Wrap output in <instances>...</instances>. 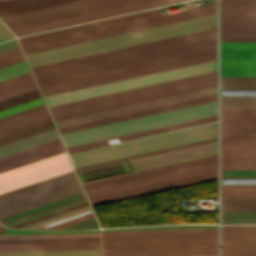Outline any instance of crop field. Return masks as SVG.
<instances>
[{"mask_svg":"<svg viewBox=\"0 0 256 256\" xmlns=\"http://www.w3.org/2000/svg\"><path fill=\"white\" fill-rule=\"evenodd\" d=\"M216 27V14L25 55L37 66ZM216 43V28L31 68L37 82Z\"/></svg>","mask_w":256,"mask_h":256,"instance_id":"1","label":"crop field"},{"mask_svg":"<svg viewBox=\"0 0 256 256\" xmlns=\"http://www.w3.org/2000/svg\"><path fill=\"white\" fill-rule=\"evenodd\" d=\"M216 13V4L163 15L159 8L18 39L25 54Z\"/></svg>","mask_w":256,"mask_h":256,"instance_id":"2","label":"crop field"},{"mask_svg":"<svg viewBox=\"0 0 256 256\" xmlns=\"http://www.w3.org/2000/svg\"><path fill=\"white\" fill-rule=\"evenodd\" d=\"M217 86V71L48 108L54 121Z\"/></svg>","mask_w":256,"mask_h":256,"instance_id":"3","label":"crop field"},{"mask_svg":"<svg viewBox=\"0 0 256 256\" xmlns=\"http://www.w3.org/2000/svg\"><path fill=\"white\" fill-rule=\"evenodd\" d=\"M217 136V122L69 154L75 167Z\"/></svg>","mask_w":256,"mask_h":256,"instance_id":"4","label":"crop field"},{"mask_svg":"<svg viewBox=\"0 0 256 256\" xmlns=\"http://www.w3.org/2000/svg\"><path fill=\"white\" fill-rule=\"evenodd\" d=\"M217 114V101L60 135L72 146Z\"/></svg>","mask_w":256,"mask_h":256,"instance_id":"5","label":"crop field"},{"mask_svg":"<svg viewBox=\"0 0 256 256\" xmlns=\"http://www.w3.org/2000/svg\"><path fill=\"white\" fill-rule=\"evenodd\" d=\"M74 171L0 194V219L82 193Z\"/></svg>","mask_w":256,"mask_h":256,"instance_id":"6","label":"crop field"},{"mask_svg":"<svg viewBox=\"0 0 256 256\" xmlns=\"http://www.w3.org/2000/svg\"><path fill=\"white\" fill-rule=\"evenodd\" d=\"M217 70L216 60L44 97L54 106Z\"/></svg>","mask_w":256,"mask_h":256,"instance_id":"7","label":"crop field"},{"mask_svg":"<svg viewBox=\"0 0 256 256\" xmlns=\"http://www.w3.org/2000/svg\"><path fill=\"white\" fill-rule=\"evenodd\" d=\"M216 59V51L40 89L43 96Z\"/></svg>","mask_w":256,"mask_h":256,"instance_id":"8","label":"crop field"},{"mask_svg":"<svg viewBox=\"0 0 256 256\" xmlns=\"http://www.w3.org/2000/svg\"><path fill=\"white\" fill-rule=\"evenodd\" d=\"M66 153H61L0 174V193L72 170Z\"/></svg>","mask_w":256,"mask_h":256,"instance_id":"9","label":"crop field"},{"mask_svg":"<svg viewBox=\"0 0 256 256\" xmlns=\"http://www.w3.org/2000/svg\"><path fill=\"white\" fill-rule=\"evenodd\" d=\"M220 37H256V1H220Z\"/></svg>","mask_w":256,"mask_h":256,"instance_id":"10","label":"crop field"},{"mask_svg":"<svg viewBox=\"0 0 256 256\" xmlns=\"http://www.w3.org/2000/svg\"><path fill=\"white\" fill-rule=\"evenodd\" d=\"M218 253V242L102 246V256Z\"/></svg>","mask_w":256,"mask_h":256,"instance_id":"11","label":"crop field"},{"mask_svg":"<svg viewBox=\"0 0 256 256\" xmlns=\"http://www.w3.org/2000/svg\"><path fill=\"white\" fill-rule=\"evenodd\" d=\"M220 76H256V43H220Z\"/></svg>","mask_w":256,"mask_h":256,"instance_id":"12","label":"crop field"},{"mask_svg":"<svg viewBox=\"0 0 256 256\" xmlns=\"http://www.w3.org/2000/svg\"><path fill=\"white\" fill-rule=\"evenodd\" d=\"M215 172H217V163L201 166L197 168H192L188 170L178 171L174 173L164 174L160 176H155L151 178L141 179L137 181H132L128 183H123L119 185H114L110 187L91 190L85 193L88 199L91 200V199L109 196L113 194L141 189L145 187H150V186L169 183L173 181L183 180L187 178L197 177L201 175L211 174Z\"/></svg>","mask_w":256,"mask_h":256,"instance_id":"13","label":"crop field"},{"mask_svg":"<svg viewBox=\"0 0 256 256\" xmlns=\"http://www.w3.org/2000/svg\"><path fill=\"white\" fill-rule=\"evenodd\" d=\"M178 1H183V0H150V1H145V2H141V3L123 6V7H118V8H113V9L104 10V11H100V12L81 15V16H77V17L67 18V19H63V20H58V21H53V22L13 29L12 31L14 32V34L16 36H19V35H24V34H28V33L43 31V30H47V29L62 27V26H66V25L96 20V19H100V18L118 15V14L128 13V12L137 11V10H141V9L151 8V7L160 6V5H164V4L174 3V2H178Z\"/></svg>","mask_w":256,"mask_h":256,"instance_id":"14","label":"crop field"},{"mask_svg":"<svg viewBox=\"0 0 256 256\" xmlns=\"http://www.w3.org/2000/svg\"><path fill=\"white\" fill-rule=\"evenodd\" d=\"M217 154V141L128 161L133 172Z\"/></svg>","mask_w":256,"mask_h":256,"instance_id":"15","label":"crop field"},{"mask_svg":"<svg viewBox=\"0 0 256 256\" xmlns=\"http://www.w3.org/2000/svg\"><path fill=\"white\" fill-rule=\"evenodd\" d=\"M214 50H216V44L205 46V47H200V48H195V49H190V50H186V51H181V52H177V53H169V54H165V55L155 56V57H151V58H147V59L133 61V62L125 63V64H120V65H116V66H111V67H107V68H103V69H98V70L89 71V72H85V73L75 74V75L57 78V79H53V80L43 81V82H39L38 85L40 88H42V87H46V86L56 85V84H60V83L70 82V81H74V80L84 79V78H88V77H93V76H97V75L107 74V73H111V72L121 71V70H125V69L135 68V67H139V66L149 65V64H153V63L163 62V61H167V60H172V59H176V58L186 57V56L200 54V53L214 51Z\"/></svg>","mask_w":256,"mask_h":256,"instance_id":"16","label":"crop field"},{"mask_svg":"<svg viewBox=\"0 0 256 256\" xmlns=\"http://www.w3.org/2000/svg\"><path fill=\"white\" fill-rule=\"evenodd\" d=\"M222 256H256V226H223Z\"/></svg>","mask_w":256,"mask_h":256,"instance_id":"17","label":"crop field"},{"mask_svg":"<svg viewBox=\"0 0 256 256\" xmlns=\"http://www.w3.org/2000/svg\"><path fill=\"white\" fill-rule=\"evenodd\" d=\"M215 93H217V87L211 88V89H206V90H201V91H197V92L187 93V94H183V95L173 96V97H169V98L159 99V100H155V101L145 102V103H141V104L131 105V106H127V107L117 108V109H113V110L103 111V112H99V113L89 114V115H85V116L75 117V118H71V119L61 120V121H57L55 123H56V127L59 128V127H63V126L73 125V124H77V123L96 120V119H100V118H105V117H109V116L119 115V114L128 113V112H132V111L151 108V107H155V106L165 105V104L174 103V102H178V101H183V100H188V99L197 98V97H201V96L211 95V94H215Z\"/></svg>","mask_w":256,"mask_h":256,"instance_id":"18","label":"crop field"},{"mask_svg":"<svg viewBox=\"0 0 256 256\" xmlns=\"http://www.w3.org/2000/svg\"><path fill=\"white\" fill-rule=\"evenodd\" d=\"M145 0H106L97 3H92L88 5L78 6L74 8L64 9L60 11L50 12L46 14H39L23 19H18L5 24L10 28H18L22 26L42 23L46 21L61 19L65 17L75 16L79 14L89 13L93 11L103 10L107 8L117 7L121 5L131 4L135 2H140Z\"/></svg>","mask_w":256,"mask_h":256,"instance_id":"19","label":"crop field"},{"mask_svg":"<svg viewBox=\"0 0 256 256\" xmlns=\"http://www.w3.org/2000/svg\"><path fill=\"white\" fill-rule=\"evenodd\" d=\"M215 162H217V155L211 156V157H206V158H201V159H197V160L187 161V162H183V163L173 164V165H169V166L159 167V168H155V169L145 170V171H141V172L107 178V179H103V180L93 181V182H89V183H84L82 185H83L84 190L87 191V190H91V189H96V188L105 187V186H109V185H114V184L132 181V180H137V179H141V178L151 177V176L160 175V174H164V173L174 172V171H178V170L188 169V168L197 167V166H201V165L211 164V163H215Z\"/></svg>","mask_w":256,"mask_h":256,"instance_id":"20","label":"crop field"},{"mask_svg":"<svg viewBox=\"0 0 256 256\" xmlns=\"http://www.w3.org/2000/svg\"><path fill=\"white\" fill-rule=\"evenodd\" d=\"M215 100H217V94L211 95V96H206V97H201V98H197V99H192V100H188V101L178 102V103H174V104H169V105H165V106L155 107V108H151V109H146V110H142V111L132 112V113H128V114H123V115H119V116L109 117V118H105V119H100V120H96V121L86 122V123L77 124V125H73V126L63 127V128H59L58 132H59V134H62V133H66V132H71V131L90 128V127H94V126L104 125V124H108V123L118 122V121H122V120L132 119V118H136V117H141V116H145V115H150V114L169 111V110H173V109L183 108V107H187V106L197 105V104H201V103L211 102V101H215Z\"/></svg>","mask_w":256,"mask_h":256,"instance_id":"21","label":"crop field"},{"mask_svg":"<svg viewBox=\"0 0 256 256\" xmlns=\"http://www.w3.org/2000/svg\"><path fill=\"white\" fill-rule=\"evenodd\" d=\"M60 140L42 144L15 154L0 158V173L64 152Z\"/></svg>","mask_w":256,"mask_h":256,"instance_id":"22","label":"crop field"},{"mask_svg":"<svg viewBox=\"0 0 256 256\" xmlns=\"http://www.w3.org/2000/svg\"><path fill=\"white\" fill-rule=\"evenodd\" d=\"M221 134H256V110H221Z\"/></svg>","mask_w":256,"mask_h":256,"instance_id":"23","label":"crop field"},{"mask_svg":"<svg viewBox=\"0 0 256 256\" xmlns=\"http://www.w3.org/2000/svg\"><path fill=\"white\" fill-rule=\"evenodd\" d=\"M50 119L45 104L0 118V136Z\"/></svg>","mask_w":256,"mask_h":256,"instance_id":"24","label":"crop field"},{"mask_svg":"<svg viewBox=\"0 0 256 256\" xmlns=\"http://www.w3.org/2000/svg\"><path fill=\"white\" fill-rule=\"evenodd\" d=\"M215 120H217V115L211 116V117H206V118H201V119H197V120H192V121H188V122L178 123V124H174V125H169V126H165V127L155 128V129H151V130H146V131H142V132L132 133V134H128V135L118 136V137H119V140L122 141V140L141 137V136H145V135L155 134V133H159V132L169 131V130H173V129L183 128V127H187V126L197 125V124H201V123L211 122V121H215ZM114 138H117V137H114ZM109 139H113V138H109ZM109 139L95 141V142L86 143V144L77 145V146H72V147H68L66 149H67L68 153H71V152H75V151H80V150H85V149H89V148L108 145L106 140H109Z\"/></svg>","mask_w":256,"mask_h":256,"instance_id":"25","label":"crop field"},{"mask_svg":"<svg viewBox=\"0 0 256 256\" xmlns=\"http://www.w3.org/2000/svg\"><path fill=\"white\" fill-rule=\"evenodd\" d=\"M79 249H100V242L0 245V251L79 250Z\"/></svg>","mask_w":256,"mask_h":256,"instance_id":"26","label":"crop field"},{"mask_svg":"<svg viewBox=\"0 0 256 256\" xmlns=\"http://www.w3.org/2000/svg\"><path fill=\"white\" fill-rule=\"evenodd\" d=\"M56 129H51L36 135H32L5 145L0 146V157L15 153L42 143L58 139Z\"/></svg>","mask_w":256,"mask_h":256,"instance_id":"27","label":"crop field"},{"mask_svg":"<svg viewBox=\"0 0 256 256\" xmlns=\"http://www.w3.org/2000/svg\"><path fill=\"white\" fill-rule=\"evenodd\" d=\"M215 178H217V173L211 174V175H206V176H201V177H197V178L187 179V180H183V181L173 182V183H169V184L159 185V186H155V187L145 188V189H141V190H136V191H132V192H127V193H123V194H118V195H114V196L104 197V198H100V199H95V200H91L90 203H91V205H94V204L113 201V200H117V199L127 198V197H131V196L141 195V194H145V193L155 192V191H159V190L169 189V188H173V187L183 186V185H187V184L197 183V182H201V181L211 180V179H215Z\"/></svg>","mask_w":256,"mask_h":256,"instance_id":"28","label":"crop field"},{"mask_svg":"<svg viewBox=\"0 0 256 256\" xmlns=\"http://www.w3.org/2000/svg\"><path fill=\"white\" fill-rule=\"evenodd\" d=\"M218 238V233L102 236V241Z\"/></svg>","mask_w":256,"mask_h":256,"instance_id":"29","label":"crop field"},{"mask_svg":"<svg viewBox=\"0 0 256 256\" xmlns=\"http://www.w3.org/2000/svg\"><path fill=\"white\" fill-rule=\"evenodd\" d=\"M74 0H30L0 7V17Z\"/></svg>","mask_w":256,"mask_h":256,"instance_id":"30","label":"crop field"},{"mask_svg":"<svg viewBox=\"0 0 256 256\" xmlns=\"http://www.w3.org/2000/svg\"><path fill=\"white\" fill-rule=\"evenodd\" d=\"M0 256H100V250L0 252Z\"/></svg>","mask_w":256,"mask_h":256,"instance_id":"31","label":"crop field"},{"mask_svg":"<svg viewBox=\"0 0 256 256\" xmlns=\"http://www.w3.org/2000/svg\"><path fill=\"white\" fill-rule=\"evenodd\" d=\"M220 90H256V77H220Z\"/></svg>","mask_w":256,"mask_h":256,"instance_id":"32","label":"crop field"},{"mask_svg":"<svg viewBox=\"0 0 256 256\" xmlns=\"http://www.w3.org/2000/svg\"><path fill=\"white\" fill-rule=\"evenodd\" d=\"M125 165H126L128 171L131 172L126 162H125ZM126 172H127V170H126L124 164L121 163V164H117V165H112V166H108V167H103V168H99V169L81 172L79 174L81 176L82 181L85 182V181H89V180L99 179V178L122 174V173H126Z\"/></svg>","mask_w":256,"mask_h":256,"instance_id":"33","label":"crop field"},{"mask_svg":"<svg viewBox=\"0 0 256 256\" xmlns=\"http://www.w3.org/2000/svg\"><path fill=\"white\" fill-rule=\"evenodd\" d=\"M52 120L0 137V145L54 128Z\"/></svg>","mask_w":256,"mask_h":256,"instance_id":"34","label":"crop field"},{"mask_svg":"<svg viewBox=\"0 0 256 256\" xmlns=\"http://www.w3.org/2000/svg\"><path fill=\"white\" fill-rule=\"evenodd\" d=\"M221 109H256V97H220Z\"/></svg>","mask_w":256,"mask_h":256,"instance_id":"35","label":"crop field"},{"mask_svg":"<svg viewBox=\"0 0 256 256\" xmlns=\"http://www.w3.org/2000/svg\"><path fill=\"white\" fill-rule=\"evenodd\" d=\"M96 1H100V0H79V1L64 3V4H60V5L45 7V8H41V9L31 10V11H27V12H23V13H19V14H14V15L2 17L1 19L3 20V22H6V21L22 18V17L39 14V13L49 12V11H53V10L63 9V8H67V7L77 6V5L96 2Z\"/></svg>","mask_w":256,"mask_h":256,"instance_id":"36","label":"crop field"},{"mask_svg":"<svg viewBox=\"0 0 256 256\" xmlns=\"http://www.w3.org/2000/svg\"><path fill=\"white\" fill-rule=\"evenodd\" d=\"M221 169H256V157H221Z\"/></svg>","mask_w":256,"mask_h":256,"instance_id":"37","label":"crop field"},{"mask_svg":"<svg viewBox=\"0 0 256 256\" xmlns=\"http://www.w3.org/2000/svg\"><path fill=\"white\" fill-rule=\"evenodd\" d=\"M221 211H256V199H221Z\"/></svg>","mask_w":256,"mask_h":256,"instance_id":"38","label":"crop field"},{"mask_svg":"<svg viewBox=\"0 0 256 256\" xmlns=\"http://www.w3.org/2000/svg\"><path fill=\"white\" fill-rule=\"evenodd\" d=\"M221 198H256V186H221Z\"/></svg>","mask_w":256,"mask_h":256,"instance_id":"39","label":"crop field"},{"mask_svg":"<svg viewBox=\"0 0 256 256\" xmlns=\"http://www.w3.org/2000/svg\"><path fill=\"white\" fill-rule=\"evenodd\" d=\"M221 156H256V144H221Z\"/></svg>","mask_w":256,"mask_h":256,"instance_id":"40","label":"crop field"},{"mask_svg":"<svg viewBox=\"0 0 256 256\" xmlns=\"http://www.w3.org/2000/svg\"><path fill=\"white\" fill-rule=\"evenodd\" d=\"M221 224H256V212H221Z\"/></svg>","mask_w":256,"mask_h":256,"instance_id":"41","label":"crop field"},{"mask_svg":"<svg viewBox=\"0 0 256 256\" xmlns=\"http://www.w3.org/2000/svg\"><path fill=\"white\" fill-rule=\"evenodd\" d=\"M82 236H100V232L0 235V239L45 238V237H82Z\"/></svg>","mask_w":256,"mask_h":256,"instance_id":"42","label":"crop field"},{"mask_svg":"<svg viewBox=\"0 0 256 256\" xmlns=\"http://www.w3.org/2000/svg\"><path fill=\"white\" fill-rule=\"evenodd\" d=\"M31 73H26L0 82V93L34 83Z\"/></svg>","mask_w":256,"mask_h":256,"instance_id":"43","label":"crop field"},{"mask_svg":"<svg viewBox=\"0 0 256 256\" xmlns=\"http://www.w3.org/2000/svg\"><path fill=\"white\" fill-rule=\"evenodd\" d=\"M40 97L41 96L37 89L27 93H23V94L0 101V110L15 106L27 101H31Z\"/></svg>","mask_w":256,"mask_h":256,"instance_id":"44","label":"crop field"},{"mask_svg":"<svg viewBox=\"0 0 256 256\" xmlns=\"http://www.w3.org/2000/svg\"><path fill=\"white\" fill-rule=\"evenodd\" d=\"M20 47L0 52V68L24 61Z\"/></svg>","mask_w":256,"mask_h":256,"instance_id":"45","label":"crop field"},{"mask_svg":"<svg viewBox=\"0 0 256 256\" xmlns=\"http://www.w3.org/2000/svg\"><path fill=\"white\" fill-rule=\"evenodd\" d=\"M199 232H218V229H199V230H160V231H121V232H102V235H121V234H160V233H199Z\"/></svg>","mask_w":256,"mask_h":256,"instance_id":"46","label":"crop field"},{"mask_svg":"<svg viewBox=\"0 0 256 256\" xmlns=\"http://www.w3.org/2000/svg\"><path fill=\"white\" fill-rule=\"evenodd\" d=\"M215 140H217V138L211 139V140H206V141H201V142H197V143H192V144H188V145L178 146V147H174V148L164 149V150H160V151H155V152H151V153L141 154V155H137V156H132V157H128V158L118 159V160H114V161L104 162V163L95 164V165H91V166L81 167V168H77L76 171L88 169V168H92V167H97V166H102V165H106V164H111V163H115V162H120V161H124V160H129V159H133V158H138V157H142V156L152 155V154H156V153H161V152H165V151H170V150H174V149H179V148H183V147H188V146H192V145L211 142V141H215Z\"/></svg>","mask_w":256,"mask_h":256,"instance_id":"47","label":"crop field"},{"mask_svg":"<svg viewBox=\"0 0 256 256\" xmlns=\"http://www.w3.org/2000/svg\"><path fill=\"white\" fill-rule=\"evenodd\" d=\"M88 204H89L88 201H86V202H83V203H80V204H77V205H73V206H70V207H67V208H64V209H61V210L49 213V214H45V215H42V216L30 219V220L21 222V223H17V224L8 226V227H10V228H18V227H21V226H24V225H27V224H30V223H33V222H36V221H39V220L51 217V216H55V215H58V214H61V213H64V212H67V211H70V210H73V209L85 206V205H88Z\"/></svg>","mask_w":256,"mask_h":256,"instance_id":"48","label":"crop field"},{"mask_svg":"<svg viewBox=\"0 0 256 256\" xmlns=\"http://www.w3.org/2000/svg\"><path fill=\"white\" fill-rule=\"evenodd\" d=\"M84 196H85L84 193H82V194H79V195H76V196H73V197H70V198H67V199H64V200H60V201H57V202H54V203H51V204H48V205H45V206L33 209V210H30V211H27V212H24V213H21V214H17V215H14V216L2 219V220H0V222L4 223V222H7V221H10V220L22 217V216H26V215H29V214H32V213H35V212H38V211H41V210H44V209H47V208H50V207L62 204V203H66V202H69V201H72V200L84 197Z\"/></svg>","mask_w":256,"mask_h":256,"instance_id":"49","label":"crop field"},{"mask_svg":"<svg viewBox=\"0 0 256 256\" xmlns=\"http://www.w3.org/2000/svg\"><path fill=\"white\" fill-rule=\"evenodd\" d=\"M218 241V239H199V240H160V241H121V242H102V245L116 244H145V243H175V242H204Z\"/></svg>","mask_w":256,"mask_h":256,"instance_id":"50","label":"crop field"},{"mask_svg":"<svg viewBox=\"0 0 256 256\" xmlns=\"http://www.w3.org/2000/svg\"><path fill=\"white\" fill-rule=\"evenodd\" d=\"M86 238H100V237H82V238H46V239H9L2 241H30V240H58V239H86ZM81 241H100V239H86V240H58V241H30V242H2L4 243H42V242H81Z\"/></svg>","mask_w":256,"mask_h":256,"instance_id":"51","label":"crop field"},{"mask_svg":"<svg viewBox=\"0 0 256 256\" xmlns=\"http://www.w3.org/2000/svg\"><path fill=\"white\" fill-rule=\"evenodd\" d=\"M221 178H256V170H221Z\"/></svg>","mask_w":256,"mask_h":256,"instance_id":"52","label":"crop field"},{"mask_svg":"<svg viewBox=\"0 0 256 256\" xmlns=\"http://www.w3.org/2000/svg\"><path fill=\"white\" fill-rule=\"evenodd\" d=\"M42 98L0 111V117L43 104Z\"/></svg>","mask_w":256,"mask_h":256,"instance_id":"53","label":"crop field"},{"mask_svg":"<svg viewBox=\"0 0 256 256\" xmlns=\"http://www.w3.org/2000/svg\"><path fill=\"white\" fill-rule=\"evenodd\" d=\"M93 217H94L93 213L91 212V213H88V214H85V215H82V216H79V217H76V218H73V219L55 224V225H52V226H49V227H46V228H43V229L57 230V229H60V228H63V227H66V226H69V225L87 220V219H90V218H93Z\"/></svg>","mask_w":256,"mask_h":256,"instance_id":"54","label":"crop field"},{"mask_svg":"<svg viewBox=\"0 0 256 256\" xmlns=\"http://www.w3.org/2000/svg\"><path fill=\"white\" fill-rule=\"evenodd\" d=\"M83 231H100V230H69V231H41V230H19L7 229L0 234H15V233H49V232H83Z\"/></svg>","mask_w":256,"mask_h":256,"instance_id":"55","label":"crop field"},{"mask_svg":"<svg viewBox=\"0 0 256 256\" xmlns=\"http://www.w3.org/2000/svg\"><path fill=\"white\" fill-rule=\"evenodd\" d=\"M36 88H37L36 84L34 83V84H31V85H28V86H25V87H22V88H18V89L0 94V100L11 97V96H14V95H17V94H20V93H23V92L30 91V90H33V89H36Z\"/></svg>","mask_w":256,"mask_h":256,"instance_id":"56","label":"crop field"},{"mask_svg":"<svg viewBox=\"0 0 256 256\" xmlns=\"http://www.w3.org/2000/svg\"><path fill=\"white\" fill-rule=\"evenodd\" d=\"M90 210H91V208L89 207V208H86V209H83V210H80V211H77V212H74V213H71V214L59 217V218H55V219H52V220H49V221H46V222H43V223L31 226V227H28V229H34V228H37V227H40V226H43V225H46V224H50V223H53V222H56V221H59V220H62V219L74 216V215H78V214L90 211Z\"/></svg>","mask_w":256,"mask_h":256,"instance_id":"57","label":"crop field"},{"mask_svg":"<svg viewBox=\"0 0 256 256\" xmlns=\"http://www.w3.org/2000/svg\"><path fill=\"white\" fill-rule=\"evenodd\" d=\"M221 143H256V138H221Z\"/></svg>","mask_w":256,"mask_h":256,"instance_id":"58","label":"crop field"},{"mask_svg":"<svg viewBox=\"0 0 256 256\" xmlns=\"http://www.w3.org/2000/svg\"><path fill=\"white\" fill-rule=\"evenodd\" d=\"M220 42H256V38H220Z\"/></svg>","mask_w":256,"mask_h":256,"instance_id":"59","label":"crop field"},{"mask_svg":"<svg viewBox=\"0 0 256 256\" xmlns=\"http://www.w3.org/2000/svg\"><path fill=\"white\" fill-rule=\"evenodd\" d=\"M0 36L6 40L10 38H14V36L10 33V31L1 23L0 21Z\"/></svg>","mask_w":256,"mask_h":256,"instance_id":"60","label":"crop field"},{"mask_svg":"<svg viewBox=\"0 0 256 256\" xmlns=\"http://www.w3.org/2000/svg\"><path fill=\"white\" fill-rule=\"evenodd\" d=\"M18 45L19 44H18L17 40L15 39V40L0 44V51L6 50V49H9V48L18 46Z\"/></svg>","mask_w":256,"mask_h":256,"instance_id":"61","label":"crop field"},{"mask_svg":"<svg viewBox=\"0 0 256 256\" xmlns=\"http://www.w3.org/2000/svg\"><path fill=\"white\" fill-rule=\"evenodd\" d=\"M85 198H86V197L81 198V199H78V200H75V201H72V202H69V203H66V204H62V205H59V206H56V207H53V208H50V209H47V210H44V211H41V212H38V213H35V214H32V215H29V216H26V217H22V218H19V219H16V220H13V221L4 223V225L9 224V223H12V222H15V221H18V220H21V219H24V218H27V217H30V216H33V215H36V214H39V213H42V212H45V211H49V210H52V209H55V208H58V207L67 205V204H70V203H73V202H76V201H79V200H82V199H85Z\"/></svg>","mask_w":256,"mask_h":256,"instance_id":"62","label":"crop field"},{"mask_svg":"<svg viewBox=\"0 0 256 256\" xmlns=\"http://www.w3.org/2000/svg\"><path fill=\"white\" fill-rule=\"evenodd\" d=\"M86 200L87 199L76 202V203H73V204H77V203H80V202H83V201H86ZM73 204H70V205H73ZM70 205H67V206H70ZM67 206H64V207H67ZM64 207H61V208H64ZM61 208H58V209H61ZM58 209H55V210H58ZM55 210H52V211H55ZM52 211H49V212H52ZM49 212H46V213H49ZM42 214H45V213H42ZM42 214H39V215H42ZM39 215H36V216H39ZM36 216H33V217H36ZM33 217H30V218H33ZM30 218H27V219H30ZM27 219H24V220H27ZM24 220H21V221H24ZM21 221H18V222H21ZM15 223H17V222H15ZM12 224H14V223H12ZM9 225H11V224H9ZM6 226H8V225H6Z\"/></svg>","mask_w":256,"mask_h":256,"instance_id":"63","label":"crop field"},{"mask_svg":"<svg viewBox=\"0 0 256 256\" xmlns=\"http://www.w3.org/2000/svg\"><path fill=\"white\" fill-rule=\"evenodd\" d=\"M160 256H218V254H199V255H160Z\"/></svg>","mask_w":256,"mask_h":256,"instance_id":"64","label":"crop field"},{"mask_svg":"<svg viewBox=\"0 0 256 256\" xmlns=\"http://www.w3.org/2000/svg\"><path fill=\"white\" fill-rule=\"evenodd\" d=\"M21 1H26V0H9V1H4V2H0V6L11 4V3H16V2H21Z\"/></svg>","mask_w":256,"mask_h":256,"instance_id":"65","label":"crop field"},{"mask_svg":"<svg viewBox=\"0 0 256 256\" xmlns=\"http://www.w3.org/2000/svg\"><path fill=\"white\" fill-rule=\"evenodd\" d=\"M221 137H256V135H221Z\"/></svg>","mask_w":256,"mask_h":256,"instance_id":"66","label":"crop field"},{"mask_svg":"<svg viewBox=\"0 0 256 256\" xmlns=\"http://www.w3.org/2000/svg\"><path fill=\"white\" fill-rule=\"evenodd\" d=\"M91 212V211H90ZM88 213V212H87ZM85 214V213H84ZM82 215V214H81ZM79 216V215H78ZM74 217H76V216H74ZM71 218H73V217H71ZM68 219H70V218H68ZM65 220H67V219H65ZM62 221H64V220H62ZM59 222H61V221H59ZM56 223H58V222H56ZM53 224H55V223H53ZM50 225H52V224H50ZM46 226H49V225H46ZM46 226H43V227H46ZM43 227H40V228H43ZM40 228H37V229H40Z\"/></svg>","mask_w":256,"mask_h":256,"instance_id":"67","label":"crop field"},{"mask_svg":"<svg viewBox=\"0 0 256 256\" xmlns=\"http://www.w3.org/2000/svg\"><path fill=\"white\" fill-rule=\"evenodd\" d=\"M5 229H7V228H5L4 226H2V225L0 224V232H2V231L5 230Z\"/></svg>","mask_w":256,"mask_h":256,"instance_id":"68","label":"crop field"},{"mask_svg":"<svg viewBox=\"0 0 256 256\" xmlns=\"http://www.w3.org/2000/svg\"><path fill=\"white\" fill-rule=\"evenodd\" d=\"M210 1V4H213L215 3V0H209Z\"/></svg>","mask_w":256,"mask_h":256,"instance_id":"69","label":"crop field"},{"mask_svg":"<svg viewBox=\"0 0 256 256\" xmlns=\"http://www.w3.org/2000/svg\"><path fill=\"white\" fill-rule=\"evenodd\" d=\"M0 41H3V39L0 37Z\"/></svg>","mask_w":256,"mask_h":256,"instance_id":"70","label":"crop field"},{"mask_svg":"<svg viewBox=\"0 0 256 256\" xmlns=\"http://www.w3.org/2000/svg\"><path fill=\"white\" fill-rule=\"evenodd\" d=\"M0 1H4V0H0Z\"/></svg>","mask_w":256,"mask_h":256,"instance_id":"71","label":"crop field"}]
</instances>
